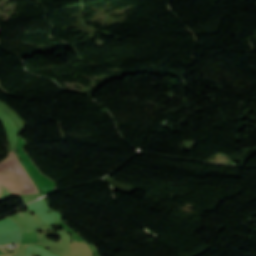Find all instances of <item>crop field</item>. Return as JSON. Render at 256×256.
<instances>
[{
    "label": "crop field",
    "instance_id": "1",
    "mask_svg": "<svg viewBox=\"0 0 256 256\" xmlns=\"http://www.w3.org/2000/svg\"><path fill=\"white\" fill-rule=\"evenodd\" d=\"M0 182L13 194L26 195L39 193L31 178L20 164L15 151L0 162Z\"/></svg>",
    "mask_w": 256,
    "mask_h": 256
},
{
    "label": "crop field",
    "instance_id": "2",
    "mask_svg": "<svg viewBox=\"0 0 256 256\" xmlns=\"http://www.w3.org/2000/svg\"><path fill=\"white\" fill-rule=\"evenodd\" d=\"M31 243H37L36 233L21 234L19 244H31Z\"/></svg>",
    "mask_w": 256,
    "mask_h": 256
},
{
    "label": "crop field",
    "instance_id": "3",
    "mask_svg": "<svg viewBox=\"0 0 256 256\" xmlns=\"http://www.w3.org/2000/svg\"><path fill=\"white\" fill-rule=\"evenodd\" d=\"M1 193H2V185L0 184V196H1Z\"/></svg>",
    "mask_w": 256,
    "mask_h": 256
}]
</instances>
